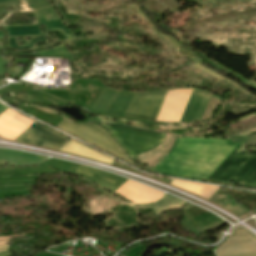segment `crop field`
Returning <instances> with one entry per match:
<instances>
[{
  "label": "crop field",
  "instance_id": "8a807250",
  "mask_svg": "<svg viewBox=\"0 0 256 256\" xmlns=\"http://www.w3.org/2000/svg\"><path fill=\"white\" fill-rule=\"evenodd\" d=\"M237 145L231 140L178 138L172 153L152 170L206 181Z\"/></svg>",
  "mask_w": 256,
  "mask_h": 256
},
{
  "label": "crop field",
  "instance_id": "ac0d7876",
  "mask_svg": "<svg viewBox=\"0 0 256 256\" xmlns=\"http://www.w3.org/2000/svg\"><path fill=\"white\" fill-rule=\"evenodd\" d=\"M241 146L236 147L207 181L230 185L232 179H238V184L256 186V155L238 154Z\"/></svg>",
  "mask_w": 256,
  "mask_h": 256
},
{
  "label": "crop field",
  "instance_id": "34b2d1b8",
  "mask_svg": "<svg viewBox=\"0 0 256 256\" xmlns=\"http://www.w3.org/2000/svg\"><path fill=\"white\" fill-rule=\"evenodd\" d=\"M102 125L108 128L109 132L130 157L155 148L165 139L164 133H156L121 125Z\"/></svg>",
  "mask_w": 256,
  "mask_h": 256
},
{
  "label": "crop field",
  "instance_id": "412701ff",
  "mask_svg": "<svg viewBox=\"0 0 256 256\" xmlns=\"http://www.w3.org/2000/svg\"><path fill=\"white\" fill-rule=\"evenodd\" d=\"M58 128H61L65 131L125 160L126 162L136 166L132 161H130L120 151L117 144L113 141V139L107 133H105L102 129L98 128L97 126H95L93 124L71 122V121H67V120L63 119L62 122L59 124Z\"/></svg>",
  "mask_w": 256,
  "mask_h": 256
},
{
  "label": "crop field",
  "instance_id": "f4fd0767",
  "mask_svg": "<svg viewBox=\"0 0 256 256\" xmlns=\"http://www.w3.org/2000/svg\"><path fill=\"white\" fill-rule=\"evenodd\" d=\"M244 228V227H243ZM238 227L216 248L217 256H256V236Z\"/></svg>",
  "mask_w": 256,
  "mask_h": 256
},
{
  "label": "crop field",
  "instance_id": "dd49c442",
  "mask_svg": "<svg viewBox=\"0 0 256 256\" xmlns=\"http://www.w3.org/2000/svg\"><path fill=\"white\" fill-rule=\"evenodd\" d=\"M193 89L167 92L156 117L157 121L179 122Z\"/></svg>",
  "mask_w": 256,
  "mask_h": 256
},
{
  "label": "crop field",
  "instance_id": "e52e79f7",
  "mask_svg": "<svg viewBox=\"0 0 256 256\" xmlns=\"http://www.w3.org/2000/svg\"><path fill=\"white\" fill-rule=\"evenodd\" d=\"M166 92L136 93L125 116L154 120Z\"/></svg>",
  "mask_w": 256,
  "mask_h": 256
},
{
  "label": "crop field",
  "instance_id": "d8731c3e",
  "mask_svg": "<svg viewBox=\"0 0 256 256\" xmlns=\"http://www.w3.org/2000/svg\"><path fill=\"white\" fill-rule=\"evenodd\" d=\"M15 140L57 150L67 138L34 122Z\"/></svg>",
  "mask_w": 256,
  "mask_h": 256
},
{
  "label": "crop field",
  "instance_id": "5a996713",
  "mask_svg": "<svg viewBox=\"0 0 256 256\" xmlns=\"http://www.w3.org/2000/svg\"><path fill=\"white\" fill-rule=\"evenodd\" d=\"M115 193L134 203L155 202L163 195L162 192L143 186L135 181L128 180Z\"/></svg>",
  "mask_w": 256,
  "mask_h": 256
},
{
  "label": "crop field",
  "instance_id": "3316defc",
  "mask_svg": "<svg viewBox=\"0 0 256 256\" xmlns=\"http://www.w3.org/2000/svg\"><path fill=\"white\" fill-rule=\"evenodd\" d=\"M34 121L8 109L0 116V136L14 140Z\"/></svg>",
  "mask_w": 256,
  "mask_h": 256
},
{
  "label": "crop field",
  "instance_id": "28ad6ade",
  "mask_svg": "<svg viewBox=\"0 0 256 256\" xmlns=\"http://www.w3.org/2000/svg\"><path fill=\"white\" fill-rule=\"evenodd\" d=\"M75 174L81 175L111 191L118 189L127 179L109 174L105 171L89 168L86 166L79 165Z\"/></svg>",
  "mask_w": 256,
  "mask_h": 256
},
{
  "label": "crop field",
  "instance_id": "d1516ede",
  "mask_svg": "<svg viewBox=\"0 0 256 256\" xmlns=\"http://www.w3.org/2000/svg\"><path fill=\"white\" fill-rule=\"evenodd\" d=\"M210 96L208 93L194 90L180 122H199Z\"/></svg>",
  "mask_w": 256,
  "mask_h": 256
},
{
  "label": "crop field",
  "instance_id": "22f410ed",
  "mask_svg": "<svg viewBox=\"0 0 256 256\" xmlns=\"http://www.w3.org/2000/svg\"><path fill=\"white\" fill-rule=\"evenodd\" d=\"M34 12L36 14L38 23H45L48 31L59 32L68 40L75 38V36L66 29L56 11Z\"/></svg>",
  "mask_w": 256,
  "mask_h": 256
},
{
  "label": "crop field",
  "instance_id": "cbeb9de0",
  "mask_svg": "<svg viewBox=\"0 0 256 256\" xmlns=\"http://www.w3.org/2000/svg\"><path fill=\"white\" fill-rule=\"evenodd\" d=\"M46 157L31 155L24 152L0 149V161L10 162V165L24 166L42 163Z\"/></svg>",
  "mask_w": 256,
  "mask_h": 256
},
{
  "label": "crop field",
  "instance_id": "5142ce71",
  "mask_svg": "<svg viewBox=\"0 0 256 256\" xmlns=\"http://www.w3.org/2000/svg\"><path fill=\"white\" fill-rule=\"evenodd\" d=\"M59 151H65L70 154L87 157V158L102 161V162H105L108 164H110L113 161V160H111V159L91 150V149L83 147L73 141H70L67 144H65L61 149H59Z\"/></svg>",
  "mask_w": 256,
  "mask_h": 256
},
{
  "label": "crop field",
  "instance_id": "d9b57169",
  "mask_svg": "<svg viewBox=\"0 0 256 256\" xmlns=\"http://www.w3.org/2000/svg\"><path fill=\"white\" fill-rule=\"evenodd\" d=\"M171 185L196 193L208 199L219 187L173 180Z\"/></svg>",
  "mask_w": 256,
  "mask_h": 256
},
{
  "label": "crop field",
  "instance_id": "733c2abd",
  "mask_svg": "<svg viewBox=\"0 0 256 256\" xmlns=\"http://www.w3.org/2000/svg\"><path fill=\"white\" fill-rule=\"evenodd\" d=\"M185 201L174 198L169 195H165L162 201L153 204V208L156 214L161 213L168 209L181 208Z\"/></svg>",
  "mask_w": 256,
  "mask_h": 256
},
{
  "label": "crop field",
  "instance_id": "4a817a6b",
  "mask_svg": "<svg viewBox=\"0 0 256 256\" xmlns=\"http://www.w3.org/2000/svg\"><path fill=\"white\" fill-rule=\"evenodd\" d=\"M22 56H45V57H60V58L73 59V57L71 56L69 51L66 49L64 44H62L54 49H51L49 51L27 54V55H22Z\"/></svg>",
  "mask_w": 256,
  "mask_h": 256
},
{
  "label": "crop field",
  "instance_id": "bc2a9ffb",
  "mask_svg": "<svg viewBox=\"0 0 256 256\" xmlns=\"http://www.w3.org/2000/svg\"><path fill=\"white\" fill-rule=\"evenodd\" d=\"M39 26H16V27H7L8 33L10 36H24V35H40Z\"/></svg>",
  "mask_w": 256,
  "mask_h": 256
},
{
  "label": "crop field",
  "instance_id": "214f88e0",
  "mask_svg": "<svg viewBox=\"0 0 256 256\" xmlns=\"http://www.w3.org/2000/svg\"><path fill=\"white\" fill-rule=\"evenodd\" d=\"M42 42H47V40H45L43 38V36H37V37H32V41H29L27 43H28V46H29V45H33V44H37V43H42ZM8 43H9V47L10 48H16V50L35 47L34 45L33 46H29V47H27V45L26 46H22V47H18L15 38H8Z\"/></svg>",
  "mask_w": 256,
  "mask_h": 256
},
{
  "label": "crop field",
  "instance_id": "92a150f3",
  "mask_svg": "<svg viewBox=\"0 0 256 256\" xmlns=\"http://www.w3.org/2000/svg\"><path fill=\"white\" fill-rule=\"evenodd\" d=\"M0 38H2L1 35H0ZM0 49H3V47H0ZM6 64L7 63L0 58V67L3 69V70L0 69V78L3 77V73H4V69H5Z\"/></svg>",
  "mask_w": 256,
  "mask_h": 256
},
{
  "label": "crop field",
  "instance_id": "dafd665d",
  "mask_svg": "<svg viewBox=\"0 0 256 256\" xmlns=\"http://www.w3.org/2000/svg\"><path fill=\"white\" fill-rule=\"evenodd\" d=\"M56 43H58V42H56ZM56 43H54V44H56ZM54 44H52V45H54ZM52 45H48V46H52ZM48 46H44V47H48ZM44 47H41V48H44ZM37 49H39V48H37ZM33 50H35V49H33ZM28 51H31V50L21 51V52H16V53H10V54L24 53V52H28Z\"/></svg>",
  "mask_w": 256,
  "mask_h": 256
},
{
  "label": "crop field",
  "instance_id": "00972430",
  "mask_svg": "<svg viewBox=\"0 0 256 256\" xmlns=\"http://www.w3.org/2000/svg\"><path fill=\"white\" fill-rule=\"evenodd\" d=\"M17 236H21V235H17ZM17 236H11V237H0V241H5V240L11 239V238H13V237H17Z\"/></svg>",
  "mask_w": 256,
  "mask_h": 256
},
{
  "label": "crop field",
  "instance_id": "a9b5d70f",
  "mask_svg": "<svg viewBox=\"0 0 256 256\" xmlns=\"http://www.w3.org/2000/svg\"><path fill=\"white\" fill-rule=\"evenodd\" d=\"M5 248H8V249H9V246H8V245L0 246V249H5ZM8 249H5V250H8ZM5 250H1V251H5ZM1 251H0V252H1Z\"/></svg>",
  "mask_w": 256,
  "mask_h": 256
},
{
  "label": "crop field",
  "instance_id": "4177f3b9",
  "mask_svg": "<svg viewBox=\"0 0 256 256\" xmlns=\"http://www.w3.org/2000/svg\"><path fill=\"white\" fill-rule=\"evenodd\" d=\"M6 109H7L6 107L0 105V114H1L4 110H6Z\"/></svg>",
  "mask_w": 256,
  "mask_h": 256
},
{
  "label": "crop field",
  "instance_id": "730fd06b",
  "mask_svg": "<svg viewBox=\"0 0 256 256\" xmlns=\"http://www.w3.org/2000/svg\"><path fill=\"white\" fill-rule=\"evenodd\" d=\"M4 253H8V254L3 255V256H10V255H11V253H10L9 251H7V252H3V253H0V255H1V254H4Z\"/></svg>",
  "mask_w": 256,
  "mask_h": 256
},
{
  "label": "crop field",
  "instance_id": "eef30255",
  "mask_svg": "<svg viewBox=\"0 0 256 256\" xmlns=\"http://www.w3.org/2000/svg\"><path fill=\"white\" fill-rule=\"evenodd\" d=\"M3 244H9V241L1 242V243H0V245H3Z\"/></svg>",
  "mask_w": 256,
  "mask_h": 256
},
{
  "label": "crop field",
  "instance_id": "ae1a2a85",
  "mask_svg": "<svg viewBox=\"0 0 256 256\" xmlns=\"http://www.w3.org/2000/svg\"><path fill=\"white\" fill-rule=\"evenodd\" d=\"M2 85L1 81H0V86Z\"/></svg>",
  "mask_w": 256,
  "mask_h": 256
},
{
  "label": "crop field",
  "instance_id": "d3111659",
  "mask_svg": "<svg viewBox=\"0 0 256 256\" xmlns=\"http://www.w3.org/2000/svg\"><path fill=\"white\" fill-rule=\"evenodd\" d=\"M0 1H7V0H0Z\"/></svg>",
  "mask_w": 256,
  "mask_h": 256
},
{
  "label": "crop field",
  "instance_id": "750c4746",
  "mask_svg": "<svg viewBox=\"0 0 256 256\" xmlns=\"http://www.w3.org/2000/svg\"><path fill=\"white\" fill-rule=\"evenodd\" d=\"M1 163H6V162H0V164H1Z\"/></svg>",
  "mask_w": 256,
  "mask_h": 256
}]
</instances>
